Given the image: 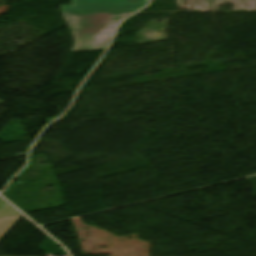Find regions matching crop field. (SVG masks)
<instances>
[{
  "label": "crop field",
  "instance_id": "crop-field-1",
  "mask_svg": "<svg viewBox=\"0 0 256 256\" xmlns=\"http://www.w3.org/2000/svg\"><path fill=\"white\" fill-rule=\"evenodd\" d=\"M131 13L62 14L75 41L71 52L105 49L118 22Z\"/></svg>",
  "mask_w": 256,
  "mask_h": 256
},
{
  "label": "crop field",
  "instance_id": "crop-field-3",
  "mask_svg": "<svg viewBox=\"0 0 256 256\" xmlns=\"http://www.w3.org/2000/svg\"><path fill=\"white\" fill-rule=\"evenodd\" d=\"M20 216L21 215L0 219V239L11 228V226L18 220Z\"/></svg>",
  "mask_w": 256,
  "mask_h": 256
},
{
  "label": "crop field",
  "instance_id": "crop-field-2",
  "mask_svg": "<svg viewBox=\"0 0 256 256\" xmlns=\"http://www.w3.org/2000/svg\"><path fill=\"white\" fill-rule=\"evenodd\" d=\"M148 0H71L72 5L60 6L61 13L70 12H135Z\"/></svg>",
  "mask_w": 256,
  "mask_h": 256
},
{
  "label": "crop field",
  "instance_id": "crop-field-4",
  "mask_svg": "<svg viewBox=\"0 0 256 256\" xmlns=\"http://www.w3.org/2000/svg\"><path fill=\"white\" fill-rule=\"evenodd\" d=\"M20 214L17 210H15L11 205L7 202H4L0 207V217L12 216Z\"/></svg>",
  "mask_w": 256,
  "mask_h": 256
},
{
  "label": "crop field",
  "instance_id": "crop-field-5",
  "mask_svg": "<svg viewBox=\"0 0 256 256\" xmlns=\"http://www.w3.org/2000/svg\"><path fill=\"white\" fill-rule=\"evenodd\" d=\"M4 200L0 198V204L3 202Z\"/></svg>",
  "mask_w": 256,
  "mask_h": 256
}]
</instances>
